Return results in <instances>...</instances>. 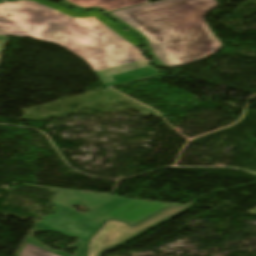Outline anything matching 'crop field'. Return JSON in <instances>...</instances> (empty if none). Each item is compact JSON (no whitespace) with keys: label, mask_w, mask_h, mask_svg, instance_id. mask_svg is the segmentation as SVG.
<instances>
[{"label":"crop field","mask_w":256,"mask_h":256,"mask_svg":"<svg viewBox=\"0 0 256 256\" xmlns=\"http://www.w3.org/2000/svg\"><path fill=\"white\" fill-rule=\"evenodd\" d=\"M0 35L29 37L62 46L84 60L105 88L158 75L138 48L94 16L69 17L29 0L0 3Z\"/></svg>","instance_id":"crop-field-1"},{"label":"crop field","mask_w":256,"mask_h":256,"mask_svg":"<svg viewBox=\"0 0 256 256\" xmlns=\"http://www.w3.org/2000/svg\"><path fill=\"white\" fill-rule=\"evenodd\" d=\"M217 6L216 0H163L106 15L137 34L156 65L174 67L221 49L204 20Z\"/></svg>","instance_id":"crop-field-2"},{"label":"crop field","mask_w":256,"mask_h":256,"mask_svg":"<svg viewBox=\"0 0 256 256\" xmlns=\"http://www.w3.org/2000/svg\"><path fill=\"white\" fill-rule=\"evenodd\" d=\"M191 207L172 205L136 226L107 220L90 239L87 256H99L101 252L125 244Z\"/></svg>","instance_id":"crop-field-4"},{"label":"crop field","mask_w":256,"mask_h":256,"mask_svg":"<svg viewBox=\"0 0 256 256\" xmlns=\"http://www.w3.org/2000/svg\"><path fill=\"white\" fill-rule=\"evenodd\" d=\"M144 3H146L145 0H65L61 4L74 8L76 11L99 9L106 13Z\"/></svg>","instance_id":"crop-field-5"},{"label":"crop field","mask_w":256,"mask_h":256,"mask_svg":"<svg viewBox=\"0 0 256 256\" xmlns=\"http://www.w3.org/2000/svg\"><path fill=\"white\" fill-rule=\"evenodd\" d=\"M34 1L42 3V4L46 5V6L51 7V8L57 9V10L65 13V14H67L69 16L86 17V16L94 15L100 21H102L104 24H106L108 27H110L112 30H114L116 33H118L121 37H123L125 40H127L131 44L135 45L136 47H138L139 44H140V41L137 38H135L130 33L126 32L122 27H120L119 25H117L116 23H114L113 21L109 20L108 18H106L105 16H103L102 14H100L98 12H88V13H84V14H77V13H75L73 11H70V10H67V9H63V8L53 4V3L45 1V0H34Z\"/></svg>","instance_id":"crop-field-6"},{"label":"crop field","mask_w":256,"mask_h":256,"mask_svg":"<svg viewBox=\"0 0 256 256\" xmlns=\"http://www.w3.org/2000/svg\"><path fill=\"white\" fill-rule=\"evenodd\" d=\"M52 204L59 210L34 225L20 247L18 256H69L63 252H54L35 240L32 233L38 231L79 238L77 244L68 248H77V256H84L88 239L105 219H120L133 225L169 205L63 190L58 191ZM75 205L86 206L94 212L80 214L73 209Z\"/></svg>","instance_id":"crop-field-3"}]
</instances>
